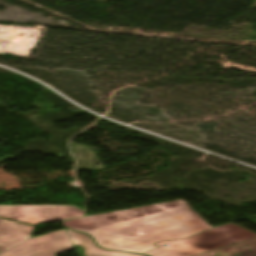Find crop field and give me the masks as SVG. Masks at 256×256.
Returning a JSON list of instances; mask_svg holds the SVG:
<instances>
[{"label": "crop field", "instance_id": "obj_7", "mask_svg": "<svg viewBox=\"0 0 256 256\" xmlns=\"http://www.w3.org/2000/svg\"><path fill=\"white\" fill-rule=\"evenodd\" d=\"M66 231L74 245L83 247L85 256H137L136 254L112 252L100 249L94 244L89 236L67 229Z\"/></svg>", "mask_w": 256, "mask_h": 256}, {"label": "crop field", "instance_id": "obj_6", "mask_svg": "<svg viewBox=\"0 0 256 256\" xmlns=\"http://www.w3.org/2000/svg\"><path fill=\"white\" fill-rule=\"evenodd\" d=\"M33 227L0 218V252L23 241Z\"/></svg>", "mask_w": 256, "mask_h": 256}, {"label": "crop field", "instance_id": "obj_4", "mask_svg": "<svg viewBox=\"0 0 256 256\" xmlns=\"http://www.w3.org/2000/svg\"><path fill=\"white\" fill-rule=\"evenodd\" d=\"M82 214L83 210L75 206H0V217L33 225Z\"/></svg>", "mask_w": 256, "mask_h": 256}, {"label": "crop field", "instance_id": "obj_2", "mask_svg": "<svg viewBox=\"0 0 256 256\" xmlns=\"http://www.w3.org/2000/svg\"><path fill=\"white\" fill-rule=\"evenodd\" d=\"M256 234L234 223L212 228L185 240L165 241L155 244L157 250L146 255L150 256H194L202 252L234 244ZM167 244L168 247H161Z\"/></svg>", "mask_w": 256, "mask_h": 256}, {"label": "crop field", "instance_id": "obj_5", "mask_svg": "<svg viewBox=\"0 0 256 256\" xmlns=\"http://www.w3.org/2000/svg\"><path fill=\"white\" fill-rule=\"evenodd\" d=\"M73 249L65 229H63L31 238L0 256H54L57 253Z\"/></svg>", "mask_w": 256, "mask_h": 256}, {"label": "crop field", "instance_id": "obj_1", "mask_svg": "<svg viewBox=\"0 0 256 256\" xmlns=\"http://www.w3.org/2000/svg\"><path fill=\"white\" fill-rule=\"evenodd\" d=\"M210 227L188 205L137 220L85 232L102 248L142 254L154 248V242L184 239Z\"/></svg>", "mask_w": 256, "mask_h": 256}, {"label": "crop field", "instance_id": "obj_3", "mask_svg": "<svg viewBox=\"0 0 256 256\" xmlns=\"http://www.w3.org/2000/svg\"><path fill=\"white\" fill-rule=\"evenodd\" d=\"M186 205L183 200L174 201L169 203L157 204L152 206H146L141 208L81 217L76 219H70L62 221L63 225L72 228L77 231L85 232L140 217L152 215L155 213L163 212L166 210L178 208ZM64 226V227H65Z\"/></svg>", "mask_w": 256, "mask_h": 256}, {"label": "crop field", "instance_id": "obj_9", "mask_svg": "<svg viewBox=\"0 0 256 256\" xmlns=\"http://www.w3.org/2000/svg\"><path fill=\"white\" fill-rule=\"evenodd\" d=\"M147 235V234H146ZM149 236V235H148ZM150 237V236H149ZM151 238V237H150ZM152 239V238H151ZM154 244V243H153ZM155 246V245H154Z\"/></svg>", "mask_w": 256, "mask_h": 256}, {"label": "crop field", "instance_id": "obj_8", "mask_svg": "<svg viewBox=\"0 0 256 256\" xmlns=\"http://www.w3.org/2000/svg\"><path fill=\"white\" fill-rule=\"evenodd\" d=\"M227 255L226 253H223L219 250H216V251H213V252H210V253H206V254H203V255H200V256H225Z\"/></svg>", "mask_w": 256, "mask_h": 256}]
</instances>
